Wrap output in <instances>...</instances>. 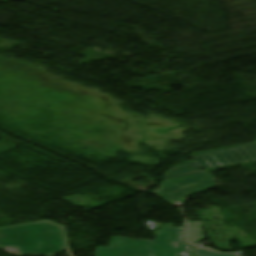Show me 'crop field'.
<instances>
[{
	"label": "crop field",
	"instance_id": "obj_1",
	"mask_svg": "<svg viewBox=\"0 0 256 256\" xmlns=\"http://www.w3.org/2000/svg\"><path fill=\"white\" fill-rule=\"evenodd\" d=\"M18 246L21 255L51 256L65 248L60 227L48 222L0 229V247Z\"/></svg>",
	"mask_w": 256,
	"mask_h": 256
},
{
	"label": "crop field",
	"instance_id": "obj_2",
	"mask_svg": "<svg viewBox=\"0 0 256 256\" xmlns=\"http://www.w3.org/2000/svg\"><path fill=\"white\" fill-rule=\"evenodd\" d=\"M181 231L182 228H163L154 241L114 237L110 249H96V256H192L190 247L181 242ZM174 243L179 246L175 248Z\"/></svg>",
	"mask_w": 256,
	"mask_h": 256
},
{
	"label": "crop field",
	"instance_id": "obj_3",
	"mask_svg": "<svg viewBox=\"0 0 256 256\" xmlns=\"http://www.w3.org/2000/svg\"><path fill=\"white\" fill-rule=\"evenodd\" d=\"M196 161L182 163L164 174V180L204 173L202 168L219 167L246 161H256V142L224 150L192 156Z\"/></svg>",
	"mask_w": 256,
	"mask_h": 256
},
{
	"label": "crop field",
	"instance_id": "obj_4",
	"mask_svg": "<svg viewBox=\"0 0 256 256\" xmlns=\"http://www.w3.org/2000/svg\"><path fill=\"white\" fill-rule=\"evenodd\" d=\"M215 179L208 173L165 181L161 191L157 193L171 202L188 195L204 192L214 187Z\"/></svg>",
	"mask_w": 256,
	"mask_h": 256
},
{
	"label": "crop field",
	"instance_id": "obj_5",
	"mask_svg": "<svg viewBox=\"0 0 256 256\" xmlns=\"http://www.w3.org/2000/svg\"><path fill=\"white\" fill-rule=\"evenodd\" d=\"M201 225L200 222L188 223L187 240L189 243L195 245L197 242L204 239L200 229Z\"/></svg>",
	"mask_w": 256,
	"mask_h": 256
},
{
	"label": "crop field",
	"instance_id": "obj_6",
	"mask_svg": "<svg viewBox=\"0 0 256 256\" xmlns=\"http://www.w3.org/2000/svg\"><path fill=\"white\" fill-rule=\"evenodd\" d=\"M194 253H196L198 256H238L236 254H218L206 249H194Z\"/></svg>",
	"mask_w": 256,
	"mask_h": 256
}]
</instances>
